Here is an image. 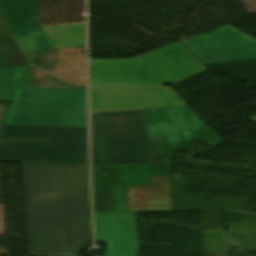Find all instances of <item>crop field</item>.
I'll list each match as a JSON object with an SVG mask.
<instances>
[{"label": "crop field", "instance_id": "obj_1", "mask_svg": "<svg viewBox=\"0 0 256 256\" xmlns=\"http://www.w3.org/2000/svg\"><path fill=\"white\" fill-rule=\"evenodd\" d=\"M22 168L30 256H78L92 240L87 166Z\"/></svg>", "mask_w": 256, "mask_h": 256}, {"label": "crop field", "instance_id": "obj_2", "mask_svg": "<svg viewBox=\"0 0 256 256\" xmlns=\"http://www.w3.org/2000/svg\"><path fill=\"white\" fill-rule=\"evenodd\" d=\"M151 164L92 165L94 214L127 213L129 185L168 179L173 150L222 142L188 107L144 110ZM188 132V134H185Z\"/></svg>", "mask_w": 256, "mask_h": 256}, {"label": "crop field", "instance_id": "obj_3", "mask_svg": "<svg viewBox=\"0 0 256 256\" xmlns=\"http://www.w3.org/2000/svg\"><path fill=\"white\" fill-rule=\"evenodd\" d=\"M0 69V101H13L4 124L88 127L87 89L29 88L27 66Z\"/></svg>", "mask_w": 256, "mask_h": 256}, {"label": "crop field", "instance_id": "obj_4", "mask_svg": "<svg viewBox=\"0 0 256 256\" xmlns=\"http://www.w3.org/2000/svg\"><path fill=\"white\" fill-rule=\"evenodd\" d=\"M0 161L88 164V128L4 125Z\"/></svg>", "mask_w": 256, "mask_h": 256}, {"label": "crop field", "instance_id": "obj_5", "mask_svg": "<svg viewBox=\"0 0 256 256\" xmlns=\"http://www.w3.org/2000/svg\"><path fill=\"white\" fill-rule=\"evenodd\" d=\"M207 70L179 43L125 60H91V79L178 84Z\"/></svg>", "mask_w": 256, "mask_h": 256}, {"label": "crop field", "instance_id": "obj_6", "mask_svg": "<svg viewBox=\"0 0 256 256\" xmlns=\"http://www.w3.org/2000/svg\"><path fill=\"white\" fill-rule=\"evenodd\" d=\"M92 164L150 163L143 111L91 114Z\"/></svg>", "mask_w": 256, "mask_h": 256}, {"label": "crop field", "instance_id": "obj_7", "mask_svg": "<svg viewBox=\"0 0 256 256\" xmlns=\"http://www.w3.org/2000/svg\"><path fill=\"white\" fill-rule=\"evenodd\" d=\"M92 112L188 106L169 88L91 80Z\"/></svg>", "mask_w": 256, "mask_h": 256}, {"label": "crop field", "instance_id": "obj_8", "mask_svg": "<svg viewBox=\"0 0 256 256\" xmlns=\"http://www.w3.org/2000/svg\"><path fill=\"white\" fill-rule=\"evenodd\" d=\"M183 43L205 65L256 59V39L230 25Z\"/></svg>", "mask_w": 256, "mask_h": 256}, {"label": "crop field", "instance_id": "obj_9", "mask_svg": "<svg viewBox=\"0 0 256 256\" xmlns=\"http://www.w3.org/2000/svg\"><path fill=\"white\" fill-rule=\"evenodd\" d=\"M0 10L25 52L51 50L36 17V0H0Z\"/></svg>", "mask_w": 256, "mask_h": 256}, {"label": "crop field", "instance_id": "obj_10", "mask_svg": "<svg viewBox=\"0 0 256 256\" xmlns=\"http://www.w3.org/2000/svg\"><path fill=\"white\" fill-rule=\"evenodd\" d=\"M97 241L108 242L106 256H137L136 214L95 215Z\"/></svg>", "mask_w": 256, "mask_h": 256}, {"label": "crop field", "instance_id": "obj_11", "mask_svg": "<svg viewBox=\"0 0 256 256\" xmlns=\"http://www.w3.org/2000/svg\"><path fill=\"white\" fill-rule=\"evenodd\" d=\"M149 186H129V206L132 211H170L168 180H150Z\"/></svg>", "mask_w": 256, "mask_h": 256}, {"label": "crop field", "instance_id": "obj_12", "mask_svg": "<svg viewBox=\"0 0 256 256\" xmlns=\"http://www.w3.org/2000/svg\"><path fill=\"white\" fill-rule=\"evenodd\" d=\"M42 30L52 50L86 46V24L49 26Z\"/></svg>", "mask_w": 256, "mask_h": 256}, {"label": "crop field", "instance_id": "obj_13", "mask_svg": "<svg viewBox=\"0 0 256 256\" xmlns=\"http://www.w3.org/2000/svg\"><path fill=\"white\" fill-rule=\"evenodd\" d=\"M20 51L13 37H0V68L29 65Z\"/></svg>", "mask_w": 256, "mask_h": 256}, {"label": "crop field", "instance_id": "obj_14", "mask_svg": "<svg viewBox=\"0 0 256 256\" xmlns=\"http://www.w3.org/2000/svg\"><path fill=\"white\" fill-rule=\"evenodd\" d=\"M11 34L13 33L0 12V35H11Z\"/></svg>", "mask_w": 256, "mask_h": 256}]
</instances>
